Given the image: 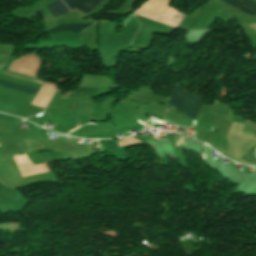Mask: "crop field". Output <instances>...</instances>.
I'll return each instance as SVG.
<instances>
[{
    "instance_id": "8a807250",
    "label": "crop field",
    "mask_w": 256,
    "mask_h": 256,
    "mask_svg": "<svg viewBox=\"0 0 256 256\" xmlns=\"http://www.w3.org/2000/svg\"><path fill=\"white\" fill-rule=\"evenodd\" d=\"M243 124L233 122L226 140L229 141L228 153L236 156H243L249 149L256 144L254 134L241 132Z\"/></svg>"
},
{
    "instance_id": "f4fd0767",
    "label": "crop field",
    "mask_w": 256,
    "mask_h": 256,
    "mask_svg": "<svg viewBox=\"0 0 256 256\" xmlns=\"http://www.w3.org/2000/svg\"><path fill=\"white\" fill-rule=\"evenodd\" d=\"M88 26L90 25H85V24L60 25L58 27L46 30V32H48V34L58 32V31H69L73 33H78L83 29L87 28Z\"/></svg>"
},
{
    "instance_id": "e52e79f7",
    "label": "crop field",
    "mask_w": 256,
    "mask_h": 256,
    "mask_svg": "<svg viewBox=\"0 0 256 256\" xmlns=\"http://www.w3.org/2000/svg\"><path fill=\"white\" fill-rule=\"evenodd\" d=\"M0 85H4V86H7V87H10V88H13V89H17V90H20V91H23V92H26V93H30V94H33V95L36 92V89H32V88L22 86V85H19V84H16V83H12V82H9V81H6V80H2V79H0Z\"/></svg>"
},
{
    "instance_id": "d8731c3e",
    "label": "crop field",
    "mask_w": 256,
    "mask_h": 256,
    "mask_svg": "<svg viewBox=\"0 0 256 256\" xmlns=\"http://www.w3.org/2000/svg\"><path fill=\"white\" fill-rule=\"evenodd\" d=\"M8 189H10V188H8V187H6V186H4V185H2V184L0 183V190H1V191L8 190Z\"/></svg>"
},
{
    "instance_id": "412701ff",
    "label": "crop field",
    "mask_w": 256,
    "mask_h": 256,
    "mask_svg": "<svg viewBox=\"0 0 256 256\" xmlns=\"http://www.w3.org/2000/svg\"><path fill=\"white\" fill-rule=\"evenodd\" d=\"M71 11L76 7L86 13H89L102 0H62Z\"/></svg>"
},
{
    "instance_id": "ac0d7876",
    "label": "crop field",
    "mask_w": 256,
    "mask_h": 256,
    "mask_svg": "<svg viewBox=\"0 0 256 256\" xmlns=\"http://www.w3.org/2000/svg\"><path fill=\"white\" fill-rule=\"evenodd\" d=\"M168 103H171L178 112L195 119L203 102L197 96L185 92L177 84Z\"/></svg>"
},
{
    "instance_id": "34b2d1b8",
    "label": "crop field",
    "mask_w": 256,
    "mask_h": 256,
    "mask_svg": "<svg viewBox=\"0 0 256 256\" xmlns=\"http://www.w3.org/2000/svg\"><path fill=\"white\" fill-rule=\"evenodd\" d=\"M224 3L234 7L241 0H221ZM235 8L255 17L256 16V0H242Z\"/></svg>"
},
{
    "instance_id": "dd49c442",
    "label": "crop field",
    "mask_w": 256,
    "mask_h": 256,
    "mask_svg": "<svg viewBox=\"0 0 256 256\" xmlns=\"http://www.w3.org/2000/svg\"><path fill=\"white\" fill-rule=\"evenodd\" d=\"M46 7L49 9L54 17L70 11L61 0H57Z\"/></svg>"
}]
</instances>
